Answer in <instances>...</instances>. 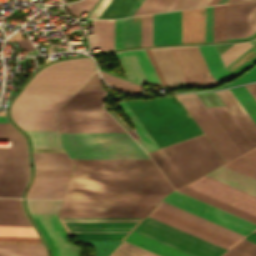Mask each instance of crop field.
<instances>
[{
    "mask_svg": "<svg viewBox=\"0 0 256 256\" xmlns=\"http://www.w3.org/2000/svg\"><path fill=\"white\" fill-rule=\"evenodd\" d=\"M216 94L256 146V124L229 90L217 91Z\"/></svg>",
    "mask_w": 256,
    "mask_h": 256,
    "instance_id": "obj_25",
    "label": "crop field"
},
{
    "mask_svg": "<svg viewBox=\"0 0 256 256\" xmlns=\"http://www.w3.org/2000/svg\"><path fill=\"white\" fill-rule=\"evenodd\" d=\"M206 41H212V6L206 7Z\"/></svg>",
    "mask_w": 256,
    "mask_h": 256,
    "instance_id": "obj_54",
    "label": "crop field"
},
{
    "mask_svg": "<svg viewBox=\"0 0 256 256\" xmlns=\"http://www.w3.org/2000/svg\"><path fill=\"white\" fill-rule=\"evenodd\" d=\"M227 2V0H220L219 2H218V4H222V3H226Z\"/></svg>",
    "mask_w": 256,
    "mask_h": 256,
    "instance_id": "obj_68",
    "label": "crop field"
},
{
    "mask_svg": "<svg viewBox=\"0 0 256 256\" xmlns=\"http://www.w3.org/2000/svg\"><path fill=\"white\" fill-rule=\"evenodd\" d=\"M225 40V4L213 6V41Z\"/></svg>",
    "mask_w": 256,
    "mask_h": 256,
    "instance_id": "obj_38",
    "label": "crop field"
},
{
    "mask_svg": "<svg viewBox=\"0 0 256 256\" xmlns=\"http://www.w3.org/2000/svg\"><path fill=\"white\" fill-rule=\"evenodd\" d=\"M231 91L256 123V102L253 100L244 86L232 88Z\"/></svg>",
    "mask_w": 256,
    "mask_h": 256,
    "instance_id": "obj_40",
    "label": "crop field"
},
{
    "mask_svg": "<svg viewBox=\"0 0 256 256\" xmlns=\"http://www.w3.org/2000/svg\"><path fill=\"white\" fill-rule=\"evenodd\" d=\"M72 94H19L11 115L23 130H58L56 112Z\"/></svg>",
    "mask_w": 256,
    "mask_h": 256,
    "instance_id": "obj_6",
    "label": "crop field"
},
{
    "mask_svg": "<svg viewBox=\"0 0 256 256\" xmlns=\"http://www.w3.org/2000/svg\"><path fill=\"white\" fill-rule=\"evenodd\" d=\"M205 41V7L182 11V43Z\"/></svg>",
    "mask_w": 256,
    "mask_h": 256,
    "instance_id": "obj_24",
    "label": "crop field"
},
{
    "mask_svg": "<svg viewBox=\"0 0 256 256\" xmlns=\"http://www.w3.org/2000/svg\"><path fill=\"white\" fill-rule=\"evenodd\" d=\"M117 104L124 112V114L129 118L135 128L134 130L128 131V133L141 145V147L146 152L158 149V146L155 144V142L152 140V138L149 136V134L146 132V130L128 108V106L125 104V102L122 100Z\"/></svg>",
    "mask_w": 256,
    "mask_h": 256,
    "instance_id": "obj_31",
    "label": "crop field"
},
{
    "mask_svg": "<svg viewBox=\"0 0 256 256\" xmlns=\"http://www.w3.org/2000/svg\"><path fill=\"white\" fill-rule=\"evenodd\" d=\"M150 51L168 87L184 81L168 48Z\"/></svg>",
    "mask_w": 256,
    "mask_h": 256,
    "instance_id": "obj_27",
    "label": "crop field"
},
{
    "mask_svg": "<svg viewBox=\"0 0 256 256\" xmlns=\"http://www.w3.org/2000/svg\"><path fill=\"white\" fill-rule=\"evenodd\" d=\"M126 240L163 256H192L133 231ZM124 240L110 256H160Z\"/></svg>",
    "mask_w": 256,
    "mask_h": 256,
    "instance_id": "obj_16",
    "label": "crop field"
},
{
    "mask_svg": "<svg viewBox=\"0 0 256 256\" xmlns=\"http://www.w3.org/2000/svg\"><path fill=\"white\" fill-rule=\"evenodd\" d=\"M193 1L194 0H174L167 11L189 8ZM209 1L210 0H195L190 8L207 5Z\"/></svg>",
    "mask_w": 256,
    "mask_h": 256,
    "instance_id": "obj_48",
    "label": "crop field"
},
{
    "mask_svg": "<svg viewBox=\"0 0 256 256\" xmlns=\"http://www.w3.org/2000/svg\"><path fill=\"white\" fill-rule=\"evenodd\" d=\"M0 242H27V243H41L40 239H28V238H4V237H0Z\"/></svg>",
    "mask_w": 256,
    "mask_h": 256,
    "instance_id": "obj_56",
    "label": "crop field"
},
{
    "mask_svg": "<svg viewBox=\"0 0 256 256\" xmlns=\"http://www.w3.org/2000/svg\"><path fill=\"white\" fill-rule=\"evenodd\" d=\"M237 150L241 153L255 147L225 106L207 108Z\"/></svg>",
    "mask_w": 256,
    "mask_h": 256,
    "instance_id": "obj_22",
    "label": "crop field"
},
{
    "mask_svg": "<svg viewBox=\"0 0 256 256\" xmlns=\"http://www.w3.org/2000/svg\"><path fill=\"white\" fill-rule=\"evenodd\" d=\"M57 213H31L49 242L53 256H80L81 249L68 243L56 218Z\"/></svg>",
    "mask_w": 256,
    "mask_h": 256,
    "instance_id": "obj_18",
    "label": "crop field"
},
{
    "mask_svg": "<svg viewBox=\"0 0 256 256\" xmlns=\"http://www.w3.org/2000/svg\"><path fill=\"white\" fill-rule=\"evenodd\" d=\"M71 171L36 170V175H70Z\"/></svg>",
    "mask_w": 256,
    "mask_h": 256,
    "instance_id": "obj_58",
    "label": "crop field"
},
{
    "mask_svg": "<svg viewBox=\"0 0 256 256\" xmlns=\"http://www.w3.org/2000/svg\"><path fill=\"white\" fill-rule=\"evenodd\" d=\"M140 46V21L123 19V48Z\"/></svg>",
    "mask_w": 256,
    "mask_h": 256,
    "instance_id": "obj_35",
    "label": "crop field"
},
{
    "mask_svg": "<svg viewBox=\"0 0 256 256\" xmlns=\"http://www.w3.org/2000/svg\"><path fill=\"white\" fill-rule=\"evenodd\" d=\"M166 194H65L61 205H157Z\"/></svg>",
    "mask_w": 256,
    "mask_h": 256,
    "instance_id": "obj_14",
    "label": "crop field"
},
{
    "mask_svg": "<svg viewBox=\"0 0 256 256\" xmlns=\"http://www.w3.org/2000/svg\"><path fill=\"white\" fill-rule=\"evenodd\" d=\"M256 30V0L226 4V38L245 37Z\"/></svg>",
    "mask_w": 256,
    "mask_h": 256,
    "instance_id": "obj_15",
    "label": "crop field"
},
{
    "mask_svg": "<svg viewBox=\"0 0 256 256\" xmlns=\"http://www.w3.org/2000/svg\"><path fill=\"white\" fill-rule=\"evenodd\" d=\"M95 76L98 86H86ZM95 78L88 85H97ZM97 72L58 111L60 132H125L103 109Z\"/></svg>",
    "mask_w": 256,
    "mask_h": 256,
    "instance_id": "obj_3",
    "label": "crop field"
},
{
    "mask_svg": "<svg viewBox=\"0 0 256 256\" xmlns=\"http://www.w3.org/2000/svg\"><path fill=\"white\" fill-rule=\"evenodd\" d=\"M205 62L216 80L222 84L234 78L223 66L214 45L198 46Z\"/></svg>",
    "mask_w": 256,
    "mask_h": 256,
    "instance_id": "obj_30",
    "label": "crop field"
},
{
    "mask_svg": "<svg viewBox=\"0 0 256 256\" xmlns=\"http://www.w3.org/2000/svg\"><path fill=\"white\" fill-rule=\"evenodd\" d=\"M236 1H243V0H229L228 3L229 2H236Z\"/></svg>",
    "mask_w": 256,
    "mask_h": 256,
    "instance_id": "obj_69",
    "label": "crop field"
},
{
    "mask_svg": "<svg viewBox=\"0 0 256 256\" xmlns=\"http://www.w3.org/2000/svg\"><path fill=\"white\" fill-rule=\"evenodd\" d=\"M143 218H59L76 240H123Z\"/></svg>",
    "mask_w": 256,
    "mask_h": 256,
    "instance_id": "obj_8",
    "label": "crop field"
},
{
    "mask_svg": "<svg viewBox=\"0 0 256 256\" xmlns=\"http://www.w3.org/2000/svg\"><path fill=\"white\" fill-rule=\"evenodd\" d=\"M32 140L33 149H62L58 131H25Z\"/></svg>",
    "mask_w": 256,
    "mask_h": 256,
    "instance_id": "obj_32",
    "label": "crop field"
},
{
    "mask_svg": "<svg viewBox=\"0 0 256 256\" xmlns=\"http://www.w3.org/2000/svg\"><path fill=\"white\" fill-rule=\"evenodd\" d=\"M181 43V11L153 15V45Z\"/></svg>",
    "mask_w": 256,
    "mask_h": 256,
    "instance_id": "obj_20",
    "label": "crop field"
},
{
    "mask_svg": "<svg viewBox=\"0 0 256 256\" xmlns=\"http://www.w3.org/2000/svg\"><path fill=\"white\" fill-rule=\"evenodd\" d=\"M225 254V253H224ZM223 254V255H224ZM224 256H246V255H244V254H241V253H239V252H237V251H234V250H230V251H228Z\"/></svg>",
    "mask_w": 256,
    "mask_h": 256,
    "instance_id": "obj_63",
    "label": "crop field"
},
{
    "mask_svg": "<svg viewBox=\"0 0 256 256\" xmlns=\"http://www.w3.org/2000/svg\"><path fill=\"white\" fill-rule=\"evenodd\" d=\"M218 1H219V0H211V1L208 3V5L217 4Z\"/></svg>",
    "mask_w": 256,
    "mask_h": 256,
    "instance_id": "obj_67",
    "label": "crop field"
},
{
    "mask_svg": "<svg viewBox=\"0 0 256 256\" xmlns=\"http://www.w3.org/2000/svg\"><path fill=\"white\" fill-rule=\"evenodd\" d=\"M70 176H36L27 198H62Z\"/></svg>",
    "mask_w": 256,
    "mask_h": 256,
    "instance_id": "obj_23",
    "label": "crop field"
},
{
    "mask_svg": "<svg viewBox=\"0 0 256 256\" xmlns=\"http://www.w3.org/2000/svg\"><path fill=\"white\" fill-rule=\"evenodd\" d=\"M29 177L26 142L0 148V197H20Z\"/></svg>",
    "mask_w": 256,
    "mask_h": 256,
    "instance_id": "obj_10",
    "label": "crop field"
},
{
    "mask_svg": "<svg viewBox=\"0 0 256 256\" xmlns=\"http://www.w3.org/2000/svg\"><path fill=\"white\" fill-rule=\"evenodd\" d=\"M97 0H83L76 4L67 6L71 14L80 15L83 11H89ZM75 16V15H73Z\"/></svg>",
    "mask_w": 256,
    "mask_h": 256,
    "instance_id": "obj_50",
    "label": "crop field"
},
{
    "mask_svg": "<svg viewBox=\"0 0 256 256\" xmlns=\"http://www.w3.org/2000/svg\"><path fill=\"white\" fill-rule=\"evenodd\" d=\"M145 51H146V53H147V55H148V57H149V59H150L152 65H153V67H154V69H155V71H156V73H157V75H158V77H159V79H160L162 85L165 86V87H167L166 84H165V82H164V80H163V78H162V76H161V74H160V72H159V70H158V67H157V65H156V63H155V61H154V59H153V57H152L150 51H149V50H145Z\"/></svg>",
    "mask_w": 256,
    "mask_h": 256,
    "instance_id": "obj_59",
    "label": "crop field"
},
{
    "mask_svg": "<svg viewBox=\"0 0 256 256\" xmlns=\"http://www.w3.org/2000/svg\"><path fill=\"white\" fill-rule=\"evenodd\" d=\"M149 217L226 249L244 237L163 201L159 203Z\"/></svg>",
    "mask_w": 256,
    "mask_h": 256,
    "instance_id": "obj_7",
    "label": "crop field"
},
{
    "mask_svg": "<svg viewBox=\"0 0 256 256\" xmlns=\"http://www.w3.org/2000/svg\"><path fill=\"white\" fill-rule=\"evenodd\" d=\"M253 80H256V66L253 67L251 70H249L247 73H245L240 78H238L220 88L235 85V84H240V83H244V82H248V81H253ZM216 89H219V88H216ZM212 90H214V89H212Z\"/></svg>",
    "mask_w": 256,
    "mask_h": 256,
    "instance_id": "obj_53",
    "label": "crop field"
},
{
    "mask_svg": "<svg viewBox=\"0 0 256 256\" xmlns=\"http://www.w3.org/2000/svg\"><path fill=\"white\" fill-rule=\"evenodd\" d=\"M137 0H112L100 18L126 17Z\"/></svg>",
    "mask_w": 256,
    "mask_h": 256,
    "instance_id": "obj_37",
    "label": "crop field"
},
{
    "mask_svg": "<svg viewBox=\"0 0 256 256\" xmlns=\"http://www.w3.org/2000/svg\"><path fill=\"white\" fill-rule=\"evenodd\" d=\"M152 45V15L141 16V46Z\"/></svg>",
    "mask_w": 256,
    "mask_h": 256,
    "instance_id": "obj_46",
    "label": "crop field"
},
{
    "mask_svg": "<svg viewBox=\"0 0 256 256\" xmlns=\"http://www.w3.org/2000/svg\"><path fill=\"white\" fill-rule=\"evenodd\" d=\"M256 224V198L206 176L178 189Z\"/></svg>",
    "mask_w": 256,
    "mask_h": 256,
    "instance_id": "obj_5",
    "label": "crop field"
},
{
    "mask_svg": "<svg viewBox=\"0 0 256 256\" xmlns=\"http://www.w3.org/2000/svg\"><path fill=\"white\" fill-rule=\"evenodd\" d=\"M94 63L87 57L52 63L41 70H95Z\"/></svg>",
    "mask_w": 256,
    "mask_h": 256,
    "instance_id": "obj_36",
    "label": "crop field"
},
{
    "mask_svg": "<svg viewBox=\"0 0 256 256\" xmlns=\"http://www.w3.org/2000/svg\"><path fill=\"white\" fill-rule=\"evenodd\" d=\"M224 166L248 176L256 173V148L232 160ZM251 177L256 179V174L252 175Z\"/></svg>",
    "mask_w": 256,
    "mask_h": 256,
    "instance_id": "obj_34",
    "label": "crop field"
},
{
    "mask_svg": "<svg viewBox=\"0 0 256 256\" xmlns=\"http://www.w3.org/2000/svg\"><path fill=\"white\" fill-rule=\"evenodd\" d=\"M36 169L72 170L73 165H35Z\"/></svg>",
    "mask_w": 256,
    "mask_h": 256,
    "instance_id": "obj_57",
    "label": "crop field"
},
{
    "mask_svg": "<svg viewBox=\"0 0 256 256\" xmlns=\"http://www.w3.org/2000/svg\"><path fill=\"white\" fill-rule=\"evenodd\" d=\"M206 176L256 197V180L248 176L240 174L224 166L214 170Z\"/></svg>",
    "mask_w": 256,
    "mask_h": 256,
    "instance_id": "obj_26",
    "label": "crop field"
},
{
    "mask_svg": "<svg viewBox=\"0 0 256 256\" xmlns=\"http://www.w3.org/2000/svg\"><path fill=\"white\" fill-rule=\"evenodd\" d=\"M0 225L30 226L22 212L20 199H0Z\"/></svg>",
    "mask_w": 256,
    "mask_h": 256,
    "instance_id": "obj_29",
    "label": "crop field"
},
{
    "mask_svg": "<svg viewBox=\"0 0 256 256\" xmlns=\"http://www.w3.org/2000/svg\"><path fill=\"white\" fill-rule=\"evenodd\" d=\"M135 231L194 256H219L226 250L149 217Z\"/></svg>",
    "mask_w": 256,
    "mask_h": 256,
    "instance_id": "obj_9",
    "label": "crop field"
},
{
    "mask_svg": "<svg viewBox=\"0 0 256 256\" xmlns=\"http://www.w3.org/2000/svg\"><path fill=\"white\" fill-rule=\"evenodd\" d=\"M0 236L38 238L32 227L0 226Z\"/></svg>",
    "mask_w": 256,
    "mask_h": 256,
    "instance_id": "obj_42",
    "label": "crop field"
},
{
    "mask_svg": "<svg viewBox=\"0 0 256 256\" xmlns=\"http://www.w3.org/2000/svg\"><path fill=\"white\" fill-rule=\"evenodd\" d=\"M17 42H18V44H19V46L21 47L22 50H27V49H33L34 48L29 39L18 40Z\"/></svg>",
    "mask_w": 256,
    "mask_h": 256,
    "instance_id": "obj_60",
    "label": "crop field"
},
{
    "mask_svg": "<svg viewBox=\"0 0 256 256\" xmlns=\"http://www.w3.org/2000/svg\"><path fill=\"white\" fill-rule=\"evenodd\" d=\"M256 232V231H255ZM253 232L252 234H250L248 237H246L245 239L252 241L254 243H256V233Z\"/></svg>",
    "mask_w": 256,
    "mask_h": 256,
    "instance_id": "obj_65",
    "label": "crop field"
},
{
    "mask_svg": "<svg viewBox=\"0 0 256 256\" xmlns=\"http://www.w3.org/2000/svg\"><path fill=\"white\" fill-rule=\"evenodd\" d=\"M176 96L179 98L186 110L204 107L195 94ZM188 112L225 161L240 155L206 108L190 110Z\"/></svg>",
    "mask_w": 256,
    "mask_h": 256,
    "instance_id": "obj_11",
    "label": "crop field"
},
{
    "mask_svg": "<svg viewBox=\"0 0 256 256\" xmlns=\"http://www.w3.org/2000/svg\"><path fill=\"white\" fill-rule=\"evenodd\" d=\"M65 193H169L172 186L152 160H72Z\"/></svg>",
    "mask_w": 256,
    "mask_h": 256,
    "instance_id": "obj_1",
    "label": "crop field"
},
{
    "mask_svg": "<svg viewBox=\"0 0 256 256\" xmlns=\"http://www.w3.org/2000/svg\"><path fill=\"white\" fill-rule=\"evenodd\" d=\"M232 248L249 256H256V244L249 242L245 239L240 241Z\"/></svg>",
    "mask_w": 256,
    "mask_h": 256,
    "instance_id": "obj_51",
    "label": "crop field"
},
{
    "mask_svg": "<svg viewBox=\"0 0 256 256\" xmlns=\"http://www.w3.org/2000/svg\"><path fill=\"white\" fill-rule=\"evenodd\" d=\"M169 49L185 81L210 73L197 46Z\"/></svg>",
    "mask_w": 256,
    "mask_h": 256,
    "instance_id": "obj_21",
    "label": "crop field"
},
{
    "mask_svg": "<svg viewBox=\"0 0 256 256\" xmlns=\"http://www.w3.org/2000/svg\"><path fill=\"white\" fill-rule=\"evenodd\" d=\"M252 46L253 45L249 44L248 42L234 44L223 54H221L220 57L224 65L227 66L229 63H231L234 59H236L238 56H240L242 53H244Z\"/></svg>",
    "mask_w": 256,
    "mask_h": 256,
    "instance_id": "obj_44",
    "label": "crop field"
},
{
    "mask_svg": "<svg viewBox=\"0 0 256 256\" xmlns=\"http://www.w3.org/2000/svg\"><path fill=\"white\" fill-rule=\"evenodd\" d=\"M155 206H61L58 217H145Z\"/></svg>",
    "mask_w": 256,
    "mask_h": 256,
    "instance_id": "obj_17",
    "label": "crop field"
},
{
    "mask_svg": "<svg viewBox=\"0 0 256 256\" xmlns=\"http://www.w3.org/2000/svg\"><path fill=\"white\" fill-rule=\"evenodd\" d=\"M35 164H71L65 153H33Z\"/></svg>",
    "mask_w": 256,
    "mask_h": 256,
    "instance_id": "obj_43",
    "label": "crop field"
},
{
    "mask_svg": "<svg viewBox=\"0 0 256 256\" xmlns=\"http://www.w3.org/2000/svg\"><path fill=\"white\" fill-rule=\"evenodd\" d=\"M61 200H27L29 212H57Z\"/></svg>",
    "mask_w": 256,
    "mask_h": 256,
    "instance_id": "obj_41",
    "label": "crop field"
},
{
    "mask_svg": "<svg viewBox=\"0 0 256 256\" xmlns=\"http://www.w3.org/2000/svg\"><path fill=\"white\" fill-rule=\"evenodd\" d=\"M100 72L105 82L119 90H123L130 93H140L143 88V85L132 83L130 81L121 79L119 77L107 74L102 71Z\"/></svg>",
    "mask_w": 256,
    "mask_h": 256,
    "instance_id": "obj_39",
    "label": "crop field"
},
{
    "mask_svg": "<svg viewBox=\"0 0 256 256\" xmlns=\"http://www.w3.org/2000/svg\"><path fill=\"white\" fill-rule=\"evenodd\" d=\"M70 159H150L127 133H60Z\"/></svg>",
    "mask_w": 256,
    "mask_h": 256,
    "instance_id": "obj_4",
    "label": "crop field"
},
{
    "mask_svg": "<svg viewBox=\"0 0 256 256\" xmlns=\"http://www.w3.org/2000/svg\"><path fill=\"white\" fill-rule=\"evenodd\" d=\"M162 2L163 0H144L134 16L155 13Z\"/></svg>",
    "mask_w": 256,
    "mask_h": 256,
    "instance_id": "obj_49",
    "label": "crop field"
},
{
    "mask_svg": "<svg viewBox=\"0 0 256 256\" xmlns=\"http://www.w3.org/2000/svg\"><path fill=\"white\" fill-rule=\"evenodd\" d=\"M143 0H138L137 3L134 5V7L132 8V10L130 11V13L127 15V17L132 16L133 13L136 11V9L139 7V5L141 4Z\"/></svg>",
    "mask_w": 256,
    "mask_h": 256,
    "instance_id": "obj_64",
    "label": "crop field"
},
{
    "mask_svg": "<svg viewBox=\"0 0 256 256\" xmlns=\"http://www.w3.org/2000/svg\"><path fill=\"white\" fill-rule=\"evenodd\" d=\"M163 201L240 233L244 236L256 228V225L232 216L221 210L213 208L190 197L173 192L167 195Z\"/></svg>",
    "mask_w": 256,
    "mask_h": 256,
    "instance_id": "obj_12",
    "label": "crop field"
},
{
    "mask_svg": "<svg viewBox=\"0 0 256 256\" xmlns=\"http://www.w3.org/2000/svg\"><path fill=\"white\" fill-rule=\"evenodd\" d=\"M149 154L176 189L224 163L205 135Z\"/></svg>",
    "mask_w": 256,
    "mask_h": 256,
    "instance_id": "obj_2",
    "label": "crop field"
},
{
    "mask_svg": "<svg viewBox=\"0 0 256 256\" xmlns=\"http://www.w3.org/2000/svg\"><path fill=\"white\" fill-rule=\"evenodd\" d=\"M172 1L173 0H164L159 9L156 11V13L166 11V9L169 7Z\"/></svg>",
    "mask_w": 256,
    "mask_h": 256,
    "instance_id": "obj_62",
    "label": "crop field"
},
{
    "mask_svg": "<svg viewBox=\"0 0 256 256\" xmlns=\"http://www.w3.org/2000/svg\"><path fill=\"white\" fill-rule=\"evenodd\" d=\"M94 34H88L91 49L100 47L101 51L113 49V20H92Z\"/></svg>",
    "mask_w": 256,
    "mask_h": 256,
    "instance_id": "obj_28",
    "label": "crop field"
},
{
    "mask_svg": "<svg viewBox=\"0 0 256 256\" xmlns=\"http://www.w3.org/2000/svg\"><path fill=\"white\" fill-rule=\"evenodd\" d=\"M0 140L25 141L24 137L10 123H0Z\"/></svg>",
    "mask_w": 256,
    "mask_h": 256,
    "instance_id": "obj_47",
    "label": "crop field"
},
{
    "mask_svg": "<svg viewBox=\"0 0 256 256\" xmlns=\"http://www.w3.org/2000/svg\"><path fill=\"white\" fill-rule=\"evenodd\" d=\"M0 122H9L6 116H0Z\"/></svg>",
    "mask_w": 256,
    "mask_h": 256,
    "instance_id": "obj_66",
    "label": "crop field"
},
{
    "mask_svg": "<svg viewBox=\"0 0 256 256\" xmlns=\"http://www.w3.org/2000/svg\"><path fill=\"white\" fill-rule=\"evenodd\" d=\"M94 71H38L21 93H74Z\"/></svg>",
    "mask_w": 256,
    "mask_h": 256,
    "instance_id": "obj_13",
    "label": "crop field"
},
{
    "mask_svg": "<svg viewBox=\"0 0 256 256\" xmlns=\"http://www.w3.org/2000/svg\"><path fill=\"white\" fill-rule=\"evenodd\" d=\"M245 87L256 101V83L245 85Z\"/></svg>",
    "mask_w": 256,
    "mask_h": 256,
    "instance_id": "obj_61",
    "label": "crop field"
},
{
    "mask_svg": "<svg viewBox=\"0 0 256 256\" xmlns=\"http://www.w3.org/2000/svg\"><path fill=\"white\" fill-rule=\"evenodd\" d=\"M122 48V19L114 20V49Z\"/></svg>",
    "mask_w": 256,
    "mask_h": 256,
    "instance_id": "obj_52",
    "label": "crop field"
},
{
    "mask_svg": "<svg viewBox=\"0 0 256 256\" xmlns=\"http://www.w3.org/2000/svg\"><path fill=\"white\" fill-rule=\"evenodd\" d=\"M0 256H46L43 245L0 244Z\"/></svg>",
    "mask_w": 256,
    "mask_h": 256,
    "instance_id": "obj_33",
    "label": "crop field"
},
{
    "mask_svg": "<svg viewBox=\"0 0 256 256\" xmlns=\"http://www.w3.org/2000/svg\"><path fill=\"white\" fill-rule=\"evenodd\" d=\"M94 248L96 256H108L121 241H83Z\"/></svg>",
    "mask_w": 256,
    "mask_h": 256,
    "instance_id": "obj_45",
    "label": "crop field"
},
{
    "mask_svg": "<svg viewBox=\"0 0 256 256\" xmlns=\"http://www.w3.org/2000/svg\"><path fill=\"white\" fill-rule=\"evenodd\" d=\"M111 0H101L89 18H99Z\"/></svg>",
    "mask_w": 256,
    "mask_h": 256,
    "instance_id": "obj_55",
    "label": "crop field"
},
{
    "mask_svg": "<svg viewBox=\"0 0 256 256\" xmlns=\"http://www.w3.org/2000/svg\"><path fill=\"white\" fill-rule=\"evenodd\" d=\"M115 54L127 78L162 86L144 50Z\"/></svg>",
    "mask_w": 256,
    "mask_h": 256,
    "instance_id": "obj_19",
    "label": "crop field"
}]
</instances>
